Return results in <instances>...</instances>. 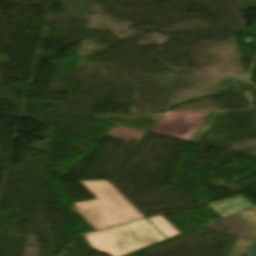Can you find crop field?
I'll list each match as a JSON object with an SVG mask.
<instances>
[{
  "label": "crop field",
  "instance_id": "crop-field-5",
  "mask_svg": "<svg viewBox=\"0 0 256 256\" xmlns=\"http://www.w3.org/2000/svg\"><path fill=\"white\" fill-rule=\"evenodd\" d=\"M158 230L167 238H171L180 234V232L175 229L167 220H165L162 216L150 218L149 219Z\"/></svg>",
  "mask_w": 256,
  "mask_h": 256
},
{
  "label": "crop field",
  "instance_id": "crop-field-4",
  "mask_svg": "<svg viewBox=\"0 0 256 256\" xmlns=\"http://www.w3.org/2000/svg\"><path fill=\"white\" fill-rule=\"evenodd\" d=\"M209 206L221 218L253 207L244 196L212 203Z\"/></svg>",
  "mask_w": 256,
  "mask_h": 256
},
{
  "label": "crop field",
  "instance_id": "crop-field-3",
  "mask_svg": "<svg viewBox=\"0 0 256 256\" xmlns=\"http://www.w3.org/2000/svg\"><path fill=\"white\" fill-rule=\"evenodd\" d=\"M210 112H164L152 133L192 142Z\"/></svg>",
  "mask_w": 256,
  "mask_h": 256
},
{
  "label": "crop field",
  "instance_id": "crop-field-6",
  "mask_svg": "<svg viewBox=\"0 0 256 256\" xmlns=\"http://www.w3.org/2000/svg\"><path fill=\"white\" fill-rule=\"evenodd\" d=\"M245 256H256V242L254 245L248 250Z\"/></svg>",
  "mask_w": 256,
  "mask_h": 256
},
{
  "label": "crop field",
  "instance_id": "crop-field-2",
  "mask_svg": "<svg viewBox=\"0 0 256 256\" xmlns=\"http://www.w3.org/2000/svg\"><path fill=\"white\" fill-rule=\"evenodd\" d=\"M153 227L144 220L84 236L92 249L112 256H124L165 240Z\"/></svg>",
  "mask_w": 256,
  "mask_h": 256
},
{
  "label": "crop field",
  "instance_id": "crop-field-1",
  "mask_svg": "<svg viewBox=\"0 0 256 256\" xmlns=\"http://www.w3.org/2000/svg\"><path fill=\"white\" fill-rule=\"evenodd\" d=\"M98 200L74 203L77 210H92L98 218L87 223L94 231L144 219L106 181L80 182Z\"/></svg>",
  "mask_w": 256,
  "mask_h": 256
}]
</instances>
